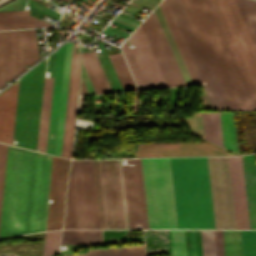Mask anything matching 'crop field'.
<instances>
[{"mask_svg":"<svg viewBox=\"0 0 256 256\" xmlns=\"http://www.w3.org/2000/svg\"><path fill=\"white\" fill-rule=\"evenodd\" d=\"M217 256H224L222 231H215Z\"/></svg>","mask_w":256,"mask_h":256,"instance_id":"crop-field-40","label":"crop field"},{"mask_svg":"<svg viewBox=\"0 0 256 256\" xmlns=\"http://www.w3.org/2000/svg\"><path fill=\"white\" fill-rule=\"evenodd\" d=\"M66 44L57 50L46 153L54 155Z\"/></svg>","mask_w":256,"mask_h":256,"instance_id":"crop-field-18","label":"crop field"},{"mask_svg":"<svg viewBox=\"0 0 256 256\" xmlns=\"http://www.w3.org/2000/svg\"><path fill=\"white\" fill-rule=\"evenodd\" d=\"M74 46L72 47V57H71V66H70V76H71V67H72V58H73ZM70 76H69V84H70ZM68 93H69V85H68ZM67 102H68V95H67ZM66 112H67V104H66ZM65 122H66V114H65ZM64 132H65V123H64ZM63 142H64V133H63ZM63 142H62V152H63ZM61 152V157H62Z\"/></svg>","mask_w":256,"mask_h":256,"instance_id":"crop-field-41","label":"crop field"},{"mask_svg":"<svg viewBox=\"0 0 256 256\" xmlns=\"http://www.w3.org/2000/svg\"><path fill=\"white\" fill-rule=\"evenodd\" d=\"M141 26L165 81L174 80L176 86L186 84L154 12L148 16Z\"/></svg>","mask_w":256,"mask_h":256,"instance_id":"crop-field-14","label":"crop field"},{"mask_svg":"<svg viewBox=\"0 0 256 256\" xmlns=\"http://www.w3.org/2000/svg\"><path fill=\"white\" fill-rule=\"evenodd\" d=\"M109 59L124 91L136 90L129 70L121 53L110 55Z\"/></svg>","mask_w":256,"mask_h":256,"instance_id":"crop-field-30","label":"crop field"},{"mask_svg":"<svg viewBox=\"0 0 256 256\" xmlns=\"http://www.w3.org/2000/svg\"><path fill=\"white\" fill-rule=\"evenodd\" d=\"M206 139L223 147L219 112H204Z\"/></svg>","mask_w":256,"mask_h":256,"instance_id":"crop-field-31","label":"crop field"},{"mask_svg":"<svg viewBox=\"0 0 256 256\" xmlns=\"http://www.w3.org/2000/svg\"><path fill=\"white\" fill-rule=\"evenodd\" d=\"M70 160L54 156L49 198L47 230L61 228L63 219L64 193Z\"/></svg>","mask_w":256,"mask_h":256,"instance_id":"crop-field-15","label":"crop field"},{"mask_svg":"<svg viewBox=\"0 0 256 256\" xmlns=\"http://www.w3.org/2000/svg\"><path fill=\"white\" fill-rule=\"evenodd\" d=\"M63 228H100L92 160L72 161Z\"/></svg>","mask_w":256,"mask_h":256,"instance_id":"crop-field-6","label":"crop field"},{"mask_svg":"<svg viewBox=\"0 0 256 256\" xmlns=\"http://www.w3.org/2000/svg\"><path fill=\"white\" fill-rule=\"evenodd\" d=\"M46 60L21 78L14 139L17 146L36 150Z\"/></svg>","mask_w":256,"mask_h":256,"instance_id":"crop-field-8","label":"crop field"},{"mask_svg":"<svg viewBox=\"0 0 256 256\" xmlns=\"http://www.w3.org/2000/svg\"><path fill=\"white\" fill-rule=\"evenodd\" d=\"M225 255L242 256L241 237L243 256H256V231H223Z\"/></svg>","mask_w":256,"mask_h":256,"instance_id":"crop-field-21","label":"crop field"},{"mask_svg":"<svg viewBox=\"0 0 256 256\" xmlns=\"http://www.w3.org/2000/svg\"><path fill=\"white\" fill-rule=\"evenodd\" d=\"M215 229H235L227 157H207Z\"/></svg>","mask_w":256,"mask_h":256,"instance_id":"crop-field-12","label":"crop field"},{"mask_svg":"<svg viewBox=\"0 0 256 256\" xmlns=\"http://www.w3.org/2000/svg\"><path fill=\"white\" fill-rule=\"evenodd\" d=\"M81 58L95 92H112L94 51L81 53Z\"/></svg>","mask_w":256,"mask_h":256,"instance_id":"crop-field-23","label":"crop field"},{"mask_svg":"<svg viewBox=\"0 0 256 256\" xmlns=\"http://www.w3.org/2000/svg\"><path fill=\"white\" fill-rule=\"evenodd\" d=\"M61 244H102L100 230H63Z\"/></svg>","mask_w":256,"mask_h":256,"instance_id":"crop-field-29","label":"crop field"},{"mask_svg":"<svg viewBox=\"0 0 256 256\" xmlns=\"http://www.w3.org/2000/svg\"><path fill=\"white\" fill-rule=\"evenodd\" d=\"M230 155L208 143L138 144L136 157Z\"/></svg>","mask_w":256,"mask_h":256,"instance_id":"crop-field-16","label":"crop field"},{"mask_svg":"<svg viewBox=\"0 0 256 256\" xmlns=\"http://www.w3.org/2000/svg\"><path fill=\"white\" fill-rule=\"evenodd\" d=\"M83 98H84V96H83V97H80V103H79V111H78V114H81Z\"/></svg>","mask_w":256,"mask_h":256,"instance_id":"crop-field-43","label":"crop field"},{"mask_svg":"<svg viewBox=\"0 0 256 256\" xmlns=\"http://www.w3.org/2000/svg\"><path fill=\"white\" fill-rule=\"evenodd\" d=\"M93 164L101 228H128L120 159Z\"/></svg>","mask_w":256,"mask_h":256,"instance_id":"crop-field-7","label":"crop field"},{"mask_svg":"<svg viewBox=\"0 0 256 256\" xmlns=\"http://www.w3.org/2000/svg\"><path fill=\"white\" fill-rule=\"evenodd\" d=\"M236 2L240 8L243 18L256 45V1L236 0Z\"/></svg>","mask_w":256,"mask_h":256,"instance_id":"crop-field-32","label":"crop field"},{"mask_svg":"<svg viewBox=\"0 0 256 256\" xmlns=\"http://www.w3.org/2000/svg\"><path fill=\"white\" fill-rule=\"evenodd\" d=\"M141 163L149 228L177 229L169 158Z\"/></svg>","mask_w":256,"mask_h":256,"instance_id":"crop-field-5","label":"crop field"},{"mask_svg":"<svg viewBox=\"0 0 256 256\" xmlns=\"http://www.w3.org/2000/svg\"><path fill=\"white\" fill-rule=\"evenodd\" d=\"M60 233L61 230L45 232L42 256H49L59 253L58 244Z\"/></svg>","mask_w":256,"mask_h":256,"instance_id":"crop-field-35","label":"crop field"},{"mask_svg":"<svg viewBox=\"0 0 256 256\" xmlns=\"http://www.w3.org/2000/svg\"><path fill=\"white\" fill-rule=\"evenodd\" d=\"M147 254L170 252L169 230H146Z\"/></svg>","mask_w":256,"mask_h":256,"instance_id":"crop-field-28","label":"crop field"},{"mask_svg":"<svg viewBox=\"0 0 256 256\" xmlns=\"http://www.w3.org/2000/svg\"><path fill=\"white\" fill-rule=\"evenodd\" d=\"M79 78H80L79 54H74L70 93H69L64 153H63V157L69 158V159L71 157V151H72V145H73L74 121H75V111H76V105H77Z\"/></svg>","mask_w":256,"mask_h":256,"instance_id":"crop-field-19","label":"crop field"},{"mask_svg":"<svg viewBox=\"0 0 256 256\" xmlns=\"http://www.w3.org/2000/svg\"><path fill=\"white\" fill-rule=\"evenodd\" d=\"M138 93H139V91L135 92V94H134L133 112H137V110H138V101H137Z\"/></svg>","mask_w":256,"mask_h":256,"instance_id":"crop-field-42","label":"crop field"},{"mask_svg":"<svg viewBox=\"0 0 256 256\" xmlns=\"http://www.w3.org/2000/svg\"><path fill=\"white\" fill-rule=\"evenodd\" d=\"M201 256H216L214 231L199 230Z\"/></svg>","mask_w":256,"mask_h":256,"instance_id":"crop-field-34","label":"crop field"},{"mask_svg":"<svg viewBox=\"0 0 256 256\" xmlns=\"http://www.w3.org/2000/svg\"><path fill=\"white\" fill-rule=\"evenodd\" d=\"M170 162L178 229H214L206 157Z\"/></svg>","mask_w":256,"mask_h":256,"instance_id":"crop-field-3","label":"crop field"},{"mask_svg":"<svg viewBox=\"0 0 256 256\" xmlns=\"http://www.w3.org/2000/svg\"><path fill=\"white\" fill-rule=\"evenodd\" d=\"M187 256H200L198 230H185Z\"/></svg>","mask_w":256,"mask_h":256,"instance_id":"crop-field-38","label":"crop field"},{"mask_svg":"<svg viewBox=\"0 0 256 256\" xmlns=\"http://www.w3.org/2000/svg\"><path fill=\"white\" fill-rule=\"evenodd\" d=\"M229 110H254L206 0H181Z\"/></svg>","mask_w":256,"mask_h":256,"instance_id":"crop-field-2","label":"crop field"},{"mask_svg":"<svg viewBox=\"0 0 256 256\" xmlns=\"http://www.w3.org/2000/svg\"><path fill=\"white\" fill-rule=\"evenodd\" d=\"M195 70L201 82L206 81L207 85L202 86L213 110H228L221 93L217 87L214 77L206 62L203 52L199 46L196 36L188 21L180 0H166ZM166 4V5H167Z\"/></svg>","mask_w":256,"mask_h":256,"instance_id":"crop-field-10","label":"crop field"},{"mask_svg":"<svg viewBox=\"0 0 256 256\" xmlns=\"http://www.w3.org/2000/svg\"><path fill=\"white\" fill-rule=\"evenodd\" d=\"M172 256H186L184 230H170Z\"/></svg>","mask_w":256,"mask_h":256,"instance_id":"crop-field-36","label":"crop field"},{"mask_svg":"<svg viewBox=\"0 0 256 256\" xmlns=\"http://www.w3.org/2000/svg\"><path fill=\"white\" fill-rule=\"evenodd\" d=\"M52 82H53V78H45L40 127H39L38 146H37V148H39V151L44 153L46 149Z\"/></svg>","mask_w":256,"mask_h":256,"instance_id":"crop-field-25","label":"crop field"},{"mask_svg":"<svg viewBox=\"0 0 256 256\" xmlns=\"http://www.w3.org/2000/svg\"><path fill=\"white\" fill-rule=\"evenodd\" d=\"M159 6H160V8H161V10L163 12V15H164V17H165V19L167 21V24H168V26L170 28V31H171V33H172V35L174 37V40H175V42H176V44L178 46V49H179V51H180V53L182 55V58H183V60L185 62V65H186V67H187V69L189 71V74H190L192 80L193 81L199 80L197 75H196V72H195V70L193 68V65H192V63L190 61V58H189V56L187 54V51H186V49L184 47V44H183L182 39H181V37L179 35V32H178V30L176 28V25H175V23L173 21V18H172L171 14H170V11H169V9H168V7L166 5L165 0H163L159 4ZM198 84H201L200 81L193 82V85H198Z\"/></svg>","mask_w":256,"mask_h":256,"instance_id":"crop-field-26","label":"crop field"},{"mask_svg":"<svg viewBox=\"0 0 256 256\" xmlns=\"http://www.w3.org/2000/svg\"><path fill=\"white\" fill-rule=\"evenodd\" d=\"M40 20V19H39ZM29 16V10L0 12V30L50 26Z\"/></svg>","mask_w":256,"mask_h":256,"instance_id":"crop-field-24","label":"crop field"},{"mask_svg":"<svg viewBox=\"0 0 256 256\" xmlns=\"http://www.w3.org/2000/svg\"><path fill=\"white\" fill-rule=\"evenodd\" d=\"M139 256H145V255H139Z\"/></svg>","mask_w":256,"mask_h":256,"instance_id":"crop-field-44","label":"crop field"},{"mask_svg":"<svg viewBox=\"0 0 256 256\" xmlns=\"http://www.w3.org/2000/svg\"><path fill=\"white\" fill-rule=\"evenodd\" d=\"M250 229H256V162L254 154L242 156Z\"/></svg>","mask_w":256,"mask_h":256,"instance_id":"crop-field-22","label":"crop field"},{"mask_svg":"<svg viewBox=\"0 0 256 256\" xmlns=\"http://www.w3.org/2000/svg\"><path fill=\"white\" fill-rule=\"evenodd\" d=\"M53 156L8 145L0 237L45 229Z\"/></svg>","mask_w":256,"mask_h":256,"instance_id":"crop-field-1","label":"crop field"},{"mask_svg":"<svg viewBox=\"0 0 256 256\" xmlns=\"http://www.w3.org/2000/svg\"><path fill=\"white\" fill-rule=\"evenodd\" d=\"M17 88L18 82L0 94V142L12 144Z\"/></svg>","mask_w":256,"mask_h":256,"instance_id":"crop-field-20","label":"crop field"},{"mask_svg":"<svg viewBox=\"0 0 256 256\" xmlns=\"http://www.w3.org/2000/svg\"><path fill=\"white\" fill-rule=\"evenodd\" d=\"M35 32V29H34ZM33 29L0 32V87L38 60Z\"/></svg>","mask_w":256,"mask_h":256,"instance_id":"crop-field-9","label":"crop field"},{"mask_svg":"<svg viewBox=\"0 0 256 256\" xmlns=\"http://www.w3.org/2000/svg\"><path fill=\"white\" fill-rule=\"evenodd\" d=\"M103 244L113 242L143 241V236H126L128 230H101Z\"/></svg>","mask_w":256,"mask_h":256,"instance_id":"crop-field-33","label":"crop field"},{"mask_svg":"<svg viewBox=\"0 0 256 256\" xmlns=\"http://www.w3.org/2000/svg\"><path fill=\"white\" fill-rule=\"evenodd\" d=\"M6 149H7V145L0 143V205H1V196H2Z\"/></svg>","mask_w":256,"mask_h":256,"instance_id":"crop-field-39","label":"crop field"},{"mask_svg":"<svg viewBox=\"0 0 256 256\" xmlns=\"http://www.w3.org/2000/svg\"><path fill=\"white\" fill-rule=\"evenodd\" d=\"M135 48L129 49L126 41L121 46L139 89L167 87L141 26L129 37Z\"/></svg>","mask_w":256,"mask_h":256,"instance_id":"crop-field-11","label":"crop field"},{"mask_svg":"<svg viewBox=\"0 0 256 256\" xmlns=\"http://www.w3.org/2000/svg\"><path fill=\"white\" fill-rule=\"evenodd\" d=\"M228 161L236 229H249L241 156Z\"/></svg>","mask_w":256,"mask_h":256,"instance_id":"crop-field-17","label":"crop field"},{"mask_svg":"<svg viewBox=\"0 0 256 256\" xmlns=\"http://www.w3.org/2000/svg\"><path fill=\"white\" fill-rule=\"evenodd\" d=\"M224 148L233 152V141L229 112H220Z\"/></svg>","mask_w":256,"mask_h":256,"instance_id":"crop-field-37","label":"crop field"},{"mask_svg":"<svg viewBox=\"0 0 256 256\" xmlns=\"http://www.w3.org/2000/svg\"><path fill=\"white\" fill-rule=\"evenodd\" d=\"M122 165L129 228H148L140 159Z\"/></svg>","mask_w":256,"mask_h":256,"instance_id":"crop-field-13","label":"crop field"},{"mask_svg":"<svg viewBox=\"0 0 256 256\" xmlns=\"http://www.w3.org/2000/svg\"><path fill=\"white\" fill-rule=\"evenodd\" d=\"M256 110V47L235 0H208Z\"/></svg>","mask_w":256,"mask_h":256,"instance_id":"crop-field-4","label":"crop field"},{"mask_svg":"<svg viewBox=\"0 0 256 256\" xmlns=\"http://www.w3.org/2000/svg\"><path fill=\"white\" fill-rule=\"evenodd\" d=\"M72 43H67L55 155L60 156Z\"/></svg>","mask_w":256,"mask_h":256,"instance_id":"crop-field-27","label":"crop field"}]
</instances>
